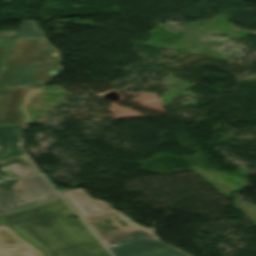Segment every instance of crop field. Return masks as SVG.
<instances>
[{
    "instance_id": "crop-field-1",
    "label": "crop field",
    "mask_w": 256,
    "mask_h": 256,
    "mask_svg": "<svg viewBox=\"0 0 256 256\" xmlns=\"http://www.w3.org/2000/svg\"><path fill=\"white\" fill-rule=\"evenodd\" d=\"M61 198L0 216L46 256H110Z\"/></svg>"
},
{
    "instance_id": "crop-field-2",
    "label": "crop field",
    "mask_w": 256,
    "mask_h": 256,
    "mask_svg": "<svg viewBox=\"0 0 256 256\" xmlns=\"http://www.w3.org/2000/svg\"><path fill=\"white\" fill-rule=\"evenodd\" d=\"M55 55L42 39L16 40L0 72V89L42 86L58 73Z\"/></svg>"
},
{
    "instance_id": "crop-field-3",
    "label": "crop field",
    "mask_w": 256,
    "mask_h": 256,
    "mask_svg": "<svg viewBox=\"0 0 256 256\" xmlns=\"http://www.w3.org/2000/svg\"><path fill=\"white\" fill-rule=\"evenodd\" d=\"M59 198L42 176L0 182V215Z\"/></svg>"
},
{
    "instance_id": "crop-field-4",
    "label": "crop field",
    "mask_w": 256,
    "mask_h": 256,
    "mask_svg": "<svg viewBox=\"0 0 256 256\" xmlns=\"http://www.w3.org/2000/svg\"><path fill=\"white\" fill-rule=\"evenodd\" d=\"M84 217L85 224L107 247L153 235V231L132 224L114 210Z\"/></svg>"
},
{
    "instance_id": "crop-field-5",
    "label": "crop field",
    "mask_w": 256,
    "mask_h": 256,
    "mask_svg": "<svg viewBox=\"0 0 256 256\" xmlns=\"http://www.w3.org/2000/svg\"><path fill=\"white\" fill-rule=\"evenodd\" d=\"M24 127H0V180L39 173L21 149L19 135Z\"/></svg>"
},
{
    "instance_id": "crop-field-6",
    "label": "crop field",
    "mask_w": 256,
    "mask_h": 256,
    "mask_svg": "<svg viewBox=\"0 0 256 256\" xmlns=\"http://www.w3.org/2000/svg\"><path fill=\"white\" fill-rule=\"evenodd\" d=\"M38 88L0 90V126L25 124L26 119L19 107Z\"/></svg>"
},
{
    "instance_id": "crop-field-7",
    "label": "crop field",
    "mask_w": 256,
    "mask_h": 256,
    "mask_svg": "<svg viewBox=\"0 0 256 256\" xmlns=\"http://www.w3.org/2000/svg\"><path fill=\"white\" fill-rule=\"evenodd\" d=\"M115 256H188L152 237L109 248Z\"/></svg>"
},
{
    "instance_id": "crop-field-8",
    "label": "crop field",
    "mask_w": 256,
    "mask_h": 256,
    "mask_svg": "<svg viewBox=\"0 0 256 256\" xmlns=\"http://www.w3.org/2000/svg\"><path fill=\"white\" fill-rule=\"evenodd\" d=\"M0 256H44L5 225L0 226Z\"/></svg>"
},
{
    "instance_id": "crop-field-9",
    "label": "crop field",
    "mask_w": 256,
    "mask_h": 256,
    "mask_svg": "<svg viewBox=\"0 0 256 256\" xmlns=\"http://www.w3.org/2000/svg\"><path fill=\"white\" fill-rule=\"evenodd\" d=\"M59 193L79 216L110 210L106 203L90 200L81 188L60 191Z\"/></svg>"
},
{
    "instance_id": "crop-field-10",
    "label": "crop field",
    "mask_w": 256,
    "mask_h": 256,
    "mask_svg": "<svg viewBox=\"0 0 256 256\" xmlns=\"http://www.w3.org/2000/svg\"><path fill=\"white\" fill-rule=\"evenodd\" d=\"M45 37L32 20H23L17 38Z\"/></svg>"
},
{
    "instance_id": "crop-field-11",
    "label": "crop field",
    "mask_w": 256,
    "mask_h": 256,
    "mask_svg": "<svg viewBox=\"0 0 256 256\" xmlns=\"http://www.w3.org/2000/svg\"><path fill=\"white\" fill-rule=\"evenodd\" d=\"M13 40H0V65L5 58Z\"/></svg>"
},
{
    "instance_id": "crop-field-12",
    "label": "crop field",
    "mask_w": 256,
    "mask_h": 256,
    "mask_svg": "<svg viewBox=\"0 0 256 256\" xmlns=\"http://www.w3.org/2000/svg\"><path fill=\"white\" fill-rule=\"evenodd\" d=\"M15 32H0V38H10L13 37Z\"/></svg>"
},
{
    "instance_id": "crop-field-13",
    "label": "crop field",
    "mask_w": 256,
    "mask_h": 256,
    "mask_svg": "<svg viewBox=\"0 0 256 256\" xmlns=\"http://www.w3.org/2000/svg\"><path fill=\"white\" fill-rule=\"evenodd\" d=\"M3 223L0 222V225H2Z\"/></svg>"
}]
</instances>
